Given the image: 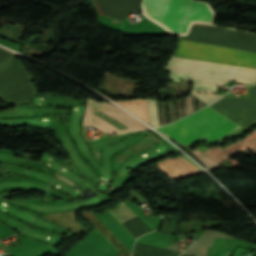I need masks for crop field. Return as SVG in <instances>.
Returning <instances> with one entry per match:
<instances>
[{
  "mask_svg": "<svg viewBox=\"0 0 256 256\" xmlns=\"http://www.w3.org/2000/svg\"><path fill=\"white\" fill-rule=\"evenodd\" d=\"M179 254V252L136 243L132 256H178Z\"/></svg>",
  "mask_w": 256,
  "mask_h": 256,
  "instance_id": "11",
  "label": "crop field"
},
{
  "mask_svg": "<svg viewBox=\"0 0 256 256\" xmlns=\"http://www.w3.org/2000/svg\"><path fill=\"white\" fill-rule=\"evenodd\" d=\"M75 211L67 212V213H49L43 217V219L55 222L57 224H61L65 228L78 233L80 225L77 223L74 217Z\"/></svg>",
  "mask_w": 256,
  "mask_h": 256,
  "instance_id": "10",
  "label": "crop field"
},
{
  "mask_svg": "<svg viewBox=\"0 0 256 256\" xmlns=\"http://www.w3.org/2000/svg\"><path fill=\"white\" fill-rule=\"evenodd\" d=\"M30 80L20 62L11 59L0 65V96L6 107L22 104L37 93Z\"/></svg>",
  "mask_w": 256,
  "mask_h": 256,
  "instance_id": "4",
  "label": "crop field"
},
{
  "mask_svg": "<svg viewBox=\"0 0 256 256\" xmlns=\"http://www.w3.org/2000/svg\"><path fill=\"white\" fill-rule=\"evenodd\" d=\"M247 148L256 155V130L247 135L243 140L237 141L225 147L224 149L220 147H214L204 151L203 153L220 164L222 161Z\"/></svg>",
  "mask_w": 256,
  "mask_h": 256,
  "instance_id": "6",
  "label": "crop field"
},
{
  "mask_svg": "<svg viewBox=\"0 0 256 256\" xmlns=\"http://www.w3.org/2000/svg\"><path fill=\"white\" fill-rule=\"evenodd\" d=\"M182 41L256 52V36L236 31L191 26ZM179 41L172 56L256 68V53ZM170 57L164 71L169 79L194 82L192 91L215 92L229 80L252 84L256 69Z\"/></svg>",
  "mask_w": 256,
  "mask_h": 256,
  "instance_id": "1",
  "label": "crop field"
},
{
  "mask_svg": "<svg viewBox=\"0 0 256 256\" xmlns=\"http://www.w3.org/2000/svg\"><path fill=\"white\" fill-rule=\"evenodd\" d=\"M147 105H148V113H149L150 124L157 127L158 126V120H157V111H156L155 100L147 99Z\"/></svg>",
  "mask_w": 256,
  "mask_h": 256,
  "instance_id": "13",
  "label": "crop field"
},
{
  "mask_svg": "<svg viewBox=\"0 0 256 256\" xmlns=\"http://www.w3.org/2000/svg\"><path fill=\"white\" fill-rule=\"evenodd\" d=\"M169 0H143L145 16L160 24ZM213 11L205 3L195 0H170L161 26L172 34L187 33L191 22L211 23Z\"/></svg>",
  "mask_w": 256,
  "mask_h": 256,
  "instance_id": "2",
  "label": "crop field"
},
{
  "mask_svg": "<svg viewBox=\"0 0 256 256\" xmlns=\"http://www.w3.org/2000/svg\"><path fill=\"white\" fill-rule=\"evenodd\" d=\"M121 225H123L135 238L150 232V230L137 218V216L123 203L108 211Z\"/></svg>",
  "mask_w": 256,
  "mask_h": 256,
  "instance_id": "8",
  "label": "crop field"
},
{
  "mask_svg": "<svg viewBox=\"0 0 256 256\" xmlns=\"http://www.w3.org/2000/svg\"><path fill=\"white\" fill-rule=\"evenodd\" d=\"M248 92L249 97L224 96L210 107L245 129L256 123V87Z\"/></svg>",
  "mask_w": 256,
  "mask_h": 256,
  "instance_id": "5",
  "label": "crop field"
},
{
  "mask_svg": "<svg viewBox=\"0 0 256 256\" xmlns=\"http://www.w3.org/2000/svg\"><path fill=\"white\" fill-rule=\"evenodd\" d=\"M99 14L121 19L131 9L138 10L141 0H92Z\"/></svg>",
  "mask_w": 256,
  "mask_h": 256,
  "instance_id": "7",
  "label": "crop field"
},
{
  "mask_svg": "<svg viewBox=\"0 0 256 256\" xmlns=\"http://www.w3.org/2000/svg\"><path fill=\"white\" fill-rule=\"evenodd\" d=\"M237 127L239 126L207 106L184 119L157 130L184 146L203 136L213 141Z\"/></svg>",
  "mask_w": 256,
  "mask_h": 256,
  "instance_id": "3",
  "label": "crop field"
},
{
  "mask_svg": "<svg viewBox=\"0 0 256 256\" xmlns=\"http://www.w3.org/2000/svg\"><path fill=\"white\" fill-rule=\"evenodd\" d=\"M81 216L120 251L116 256H131V252L91 212L82 211Z\"/></svg>",
  "mask_w": 256,
  "mask_h": 256,
  "instance_id": "9",
  "label": "crop field"
},
{
  "mask_svg": "<svg viewBox=\"0 0 256 256\" xmlns=\"http://www.w3.org/2000/svg\"><path fill=\"white\" fill-rule=\"evenodd\" d=\"M207 105L219 99L222 95L192 93Z\"/></svg>",
  "mask_w": 256,
  "mask_h": 256,
  "instance_id": "14",
  "label": "crop field"
},
{
  "mask_svg": "<svg viewBox=\"0 0 256 256\" xmlns=\"http://www.w3.org/2000/svg\"><path fill=\"white\" fill-rule=\"evenodd\" d=\"M156 143H158V141H156L152 136L147 134L142 141L122 152L118 157L115 158V160L116 162H121L124 158Z\"/></svg>",
  "mask_w": 256,
  "mask_h": 256,
  "instance_id": "12",
  "label": "crop field"
}]
</instances>
